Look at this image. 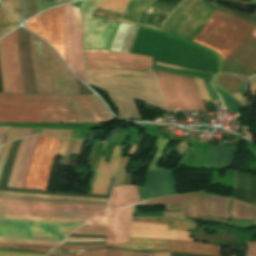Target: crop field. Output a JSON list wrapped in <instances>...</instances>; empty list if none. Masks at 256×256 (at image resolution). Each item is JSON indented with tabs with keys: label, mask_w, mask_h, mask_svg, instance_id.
<instances>
[{
	"label": "crop field",
	"mask_w": 256,
	"mask_h": 256,
	"mask_svg": "<svg viewBox=\"0 0 256 256\" xmlns=\"http://www.w3.org/2000/svg\"><path fill=\"white\" fill-rule=\"evenodd\" d=\"M45 95L19 94V98L44 99ZM44 100L18 99L0 93V122H41ZM113 120L95 95H46L42 122L104 123Z\"/></svg>",
	"instance_id": "8a807250"
},
{
	"label": "crop field",
	"mask_w": 256,
	"mask_h": 256,
	"mask_svg": "<svg viewBox=\"0 0 256 256\" xmlns=\"http://www.w3.org/2000/svg\"><path fill=\"white\" fill-rule=\"evenodd\" d=\"M251 27L256 26L216 9L193 42L216 51L225 61L242 43ZM252 30L224 62L222 72L248 76L256 73V38L251 37Z\"/></svg>",
	"instance_id": "ac0d7876"
},
{
	"label": "crop field",
	"mask_w": 256,
	"mask_h": 256,
	"mask_svg": "<svg viewBox=\"0 0 256 256\" xmlns=\"http://www.w3.org/2000/svg\"><path fill=\"white\" fill-rule=\"evenodd\" d=\"M87 74L91 84L111 93L168 107L154 70L147 69V74L133 71L87 70Z\"/></svg>",
	"instance_id": "34b2d1b8"
},
{
	"label": "crop field",
	"mask_w": 256,
	"mask_h": 256,
	"mask_svg": "<svg viewBox=\"0 0 256 256\" xmlns=\"http://www.w3.org/2000/svg\"><path fill=\"white\" fill-rule=\"evenodd\" d=\"M31 50L38 94H80L74 77L57 55L33 35Z\"/></svg>",
	"instance_id": "412701ff"
},
{
	"label": "crop field",
	"mask_w": 256,
	"mask_h": 256,
	"mask_svg": "<svg viewBox=\"0 0 256 256\" xmlns=\"http://www.w3.org/2000/svg\"><path fill=\"white\" fill-rule=\"evenodd\" d=\"M214 11L215 8L203 0H183L168 17L161 31L191 41Z\"/></svg>",
	"instance_id": "f4fd0767"
},
{
	"label": "crop field",
	"mask_w": 256,
	"mask_h": 256,
	"mask_svg": "<svg viewBox=\"0 0 256 256\" xmlns=\"http://www.w3.org/2000/svg\"><path fill=\"white\" fill-rule=\"evenodd\" d=\"M106 208L107 206L50 204L0 199V213L5 214L89 219L94 213Z\"/></svg>",
	"instance_id": "dd49c442"
},
{
	"label": "crop field",
	"mask_w": 256,
	"mask_h": 256,
	"mask_svg": "<svg viewBox=\"0 0 256 256\" xmlns=\"http://www.w3.org/2000/svg\"><path fill=\"white\" fill-rule=\"evenodd\" d=\"M82 224H63L0 219V236L35 240H63Z\"/></svg>",
	"instance_id": "e52e79f7"
},
{
	"label": "crop field",
	"mask_w": 256,
	"mask_h": 256,
	"mask_svg": "<svg viewBox=\"0 0 256 256\" xmlns=\"http://www.w3.org/2000/svg\"><path fill=\"white\" fill-rule=\"evenodd\" d=\"M102 0H83L81 13L84 21V49L109 50L120 22L91 17Z\"/></svg>",
	"instance_id": "d8731c3e"
},
{
	"label": "crop field",
	"mask_w": 256,
	"mask_h": 256,
	"mask_svg": "<svg viewBox=\"0 0 256 256\" xmlns=\"http://www.w3.org/2000/svg\"><path fill=\"white\" fill-rule=\"evenodd\" d=\"M62 140L41 135L31 159L24 188L46 190Z\"/></svg>",
	"instance_id": "5a996713"
},
{
	"label": "crop field",
	"mask_w": 256,
	"mask_h": 256,
	"mask_svg": "<svg viewBox=\"0 0 256 256\" xmlns=\"http://www.w3.org/2000/svg\"><path fill=\"white\" fill-rule=\"evenodd\" d=\"M67 66L87 83L82 53V19L78 8L64 6Z\"/></svg>",
	"instance_id": "3316defc"
},
{
	"label": "crop field",
	"mask_w": 256,
	"mask_h": 256,
	"mask_svg": "<svg viewBox=\"0 0 256 256\" xmlns=\"http://www.w3.org/2000/svg\"><path fill=\"white\" fill-rule=\"evenodd\" d=\"M134 208H123L100 212L84 226L107 227V233L76 230L73 233L107 235V243H122L128 240L130 219Z\"/></svg>",
	"instance_id": "28ad6ade"
},
{
	"label": "crop field",
	"mask_w": 256,
	"mask_h": 256,
	"mask_svg": "<svg viewBox=\"0 0 256 256\" xmlns=\"http://www.w3.org/2000/svg\"><path fill=\"white\" fill-rule=\"evenodd\" d=\"M87 68L132 69L146 72L152 69V58L139 55L103 51L84 50Z\"/></svg>",
	"instance_id": "d1516ede"
},
{
	"label": "crop field",
	"mask_w": 256,
	"mask_h": 256,
	"mask_svg": "<svg viewBox=\"0 0 256 256\" xmlns=\"http://www.w3.org/2000/svg\"><path fill=\"white\" fill-rule=\"evenodd\" d=\"M52 45L66 62L64 46L63 6L44 12L25 25Z\"/></svg>",
	"instance_id": "22f410ed"
},
{
	"label": "crop field",
	"mask_w": 256,
	"mask_h": 256,
	"mask_svg": "<svg viewBox=\"0 0 256 256\" xmlns=\"http://www.w3.org/2000/svg\"><path fill=\"white\" fill-rule=\"evenodd\" d=\"M164 74H166L168 85L180 107V110H204L195 92L191 77L170 73Z\"/></svg>",
	"instance_id": "cbeb9de0"
},
{
	"label": "crop field",
	"mask_w": 256,
	"mask_h": 256,
	"mask_svg": "<svg viewBox=\"0 0 256 256\" xmlns=\"http://www.w3.org/2000/svg\"><path fill=\"white\" fill-rule=\"evenodd\" d=\"M4 43L10 92L23 93L17 52V30L4 37Z\"/></svg>",
	"instance_id": "5142ce71"
},
{
	"label": "crop field",
	"mask_w": 256,
	"mask_h": 256,
	"mask_svg": "<svg viewBox=\"0 0 256 256\" xmlns=\"http://www.w3.org/2000/svg\"><path fill=\"white\" fill-rule=\"evenodd\" d=\"M130 237L192 240L189 238V232L169 230L167 225L136 221L132 222Z\"/></svg>",
	"instance_id": "d9b57169"
},
{
	"label": "crop field",
	"mask_w": 256,
	"mask_h": 256,
	"mask_svg": "<svg viewBox=\"0 0 256 256\" xmlns=\"http://www.w3.org/2000/svg\"><path fill=\"white\" fill-rule=\"evenodd\" d=\"M19 30H24V29L18 28V51H19ZM20 51H21V61H22V68H23L26 90H28L27 84L29 80V85H28L29 91H25V86H24V93L37 94V88H36V83L34 79L32 60H31L30 33H28L25 30H24V51H25V61H26V67H27L28 80H27L26 67H25V61H24V52H23V31H20ZM19 61H20V52H19ZM20 68H21V62H20ZM22 68H21V74H22ZM23 74H22V79H23ZM24 80H23V85H24Z\"/></svg>",
	"instance_id": "733c2abd"
},
{
	"label": "crop field",
	"mask_w": 256,
	"mask_h": 256,
	"mask_svg": "<svg viewBox=\"0 0 256 256\" xmlns=\"http://www.w3.org/2000/svg\"><path fill=\"white\" fill-rule=\"evenodd\" d=\"M235 151V147L211 145L204 169L215 170L232 167Z\"/></svg>",
	"instance_id": "4a817a6b"
},
{
	"label": "crop field",
	"mask_w": 256,
	"mask_h": 256,
	"mask_svg": "<svg viewBox=\"0 0 256 256\" xmlns=\"http://www.w3.org/2000/svg\"><path fill=\"white\" fill-rule=\"evenodd\" d=\"M110 247L132 249L137 251H169L170 240L129 238L128 243L115 244Z\"/></svg>",
	"instance_id": "bc2a9ffb"
},
{
	"label": "crop field",
	"mask_w": 256,
	"mask_h": 256,
	"mask_svg": "<svg viewBox=\"0 0 256 256\" xmlns=\"http://www.w3.org/2000/svg\"><path fill=\"white\" fill-rule=\"evenodd\" d=\"M137 186L114 187L109 209L138 204Z\"/></svg>",
	"instance_id": "214f88e0"
},
{
	"label": "crop field",
	"mask_w": 256,
	"mask_h": 256,
	"mask_svg": "<svg viewBox=\"0 0 256 256\" xmlns=\"http://www.w3.org/2000/svg\"><path fill=\"white\" fill-rule=\"evenodd\" d=\"M171 251L220 256L221 247L199 242L171 240Z\"/></svg>",
	"instance_id": "92a150f3"
},
{
	"label": "crop field",
	"mask_w": 256,
	"mask_h": 256,
	"mask_svg": "<svg viewBox=\"0 0 256 256\" xmlns=\"http://www.w3.org/2000/svg\"><path fill=\"white\" fill-rule=\"evenodd\" d=\"M110 97L118 115L125 119L143 120L134 100L116 97L107 93Z\"/></svg>",
	"instance_id": "dafd665d"
},
{
	"label": "crop field",
	"mask_w": 256,
	"mask_h": 256,
	"mask_svg": "<svg viewBox=\"0 0 256 256\" xmlns=\"http://www.w3.org/2000/svg\"><path fill=\"white\" fill-rule=\"evenodd\" d=\"M110 177H111V171L108 165L104 160L100 159L92 193L106 194Z\"/></svg>",
	"instance_id": "00972430"
},
{
	"label": "crop field",
	"mask_w": 256,
	"mask_h": 256,
	"mask_svg": "<svg viewBox=\"0 0 256 256\" xmlns=\"http://www.w3.org/2000/svg\"><path fill=\"white\" fill-rule=\"evenodd\" d=\"M198 197H199V193L185 194V217L199 219V220H205V221L218 222V223H223V224H228V225L231 224L230 221L213 219V218L196 217L197 206H198Z\"/></svg>",
	"instance_id": "a9b5d70f"
},
{
	"label": "crop field",
	"mask_w": 256,
	"mask_h": 256,
	"mask_svg": "<svg viewBox=\"0 0 256 256\" xmlns=\"http://www.w3.org/2000/svg\"><path fill=\"white\" fill-rule=\"evenodd\" d=\"M132 220L169 224L171 229H178V230L195 231L200 227L199 225L167 219V218H161V217H140V218H133Z\"/></svg>",
	"instance_id": "4177f3b9"
},
{
	"label": "crop field",
	"mask_w": 256,
	"mask_h": 256,
	"mask_svg": "<svg viewBox=\"0 0 256 256\" xmlns=\"http://www.w3.org/2000/svg\"><path fill=\"white\" fill-rule=\"evenodd\" d=\"M40 135H36V136H32L30 138V142L29 145L27 147V150L25 152L24 158H23V162H22V166H21V170L18 176V180H17V184L15 188H22L25 178H26V174H27V170L29 167V163H30V159L34 150V147L37 143V140L39 138Z\"/></svg>",
	"instance_id": "730fd06b"
},
{
	"label": "crop field",
	"mask_w": 256,
	"mask_h": 256,
	"mask_svg": "<svg viewBox=\"0 0 256 256\" xmlns=\"http://www.w3.org/2000/svg\"><path fill=\"white\" fill-rule=\"evenodd\" d=\"M151 0H132L120 16L121 19L135 22Z\"/></svg>",
	"instance_id": "eef30255"
},
{
	"label": "crop field",
	"mask_w": 256,
	"mask_h": 256,
	"mask_svg": "<svg viewBox=\"0 0 256 256\" xmlns=\"http://www.w3.org/2000/svg\"><path fill=\"white\" fill-rule=\"evenodd\" d=\"M166 204V210H179L183 209L184 195L162 197L148 202L141 203L139 206H152Z\"/></svg>",
	"instance_id": "ae1a2a85"
},
{
	"label": "crop field",
	"mask_w": 256,
	"mask_h": 256,
	"mask_svg": "<svg viewBox=\"0 0 256 256\" xmlns=\"http://www.w3.org/2000/svg\"><path fill=\"white\" fill-rule=\"evenodd\" d=\"M18 26L14 17L0 4V37Z\"/></svg>",
	"instance_id": "d3111659"
},
{
	"label": "crop field",
	"mask_w": 256,
	"mask_h": 256,
	"mask_svg": "<svg viewBox=\"0 0 256 256\" xmlns=\"http://www.w3.org/2000/svg\"><path fill=\"white\" fill-rule=\"evenodd\" d=\"M29 138L30 137L24 138L21 140L18 154H17L16 160H15V164H14L11 176H10V180L8 179L9 183H8L7 187L14 188V186H15V182H16V179H17V176L19 173V169H20V165H21V161H22V157L25 152L26 146L28 144Z\"/></svg>",
	"instance_id": "750c4746"
},
{
	"label": "crop field",
	"mask_w": 256,
	"mask_h": 256,
	"mask_svg": "<svg viewBox=\"0 0 256 256\" xmlns=\"http://www.w3.org/2000/svg\"><path fill=\"white\" fill-rule=\"evenodd\" d=\"M0 218H11L19 220H31V221H46V222H64V223H84L87 220H73V219H52L30 216H17V215H4L0 214Z\"/></svg>",
	"instance_id": "bd1437ed"
},
{
	"label": "crop field",
	"mask_w": 256,
	"mask_h": 256,
	"mask_svg": "<svg viewBox=\"0 0 256 256\" xmlns=\"http://www.w3.org/2000/svg\"><path fill=\"white\" fill-rule=\"evenodd\" d=\"M0 73L2 79L3 92H9V82L6 71L5 53L3 39L0 40Z\"/></svg>",
	"instance_id": "1d83c4d3"
},
{
	"label": "crop field",
	"mask_w": 256,
	"mask_h": 256,
	"mask_svg": "<svg viewBox=\"0 0 256 256\" xmlns=\"http://www.w3.org/2000/svg\"><path fill=\"white\" fill-rule=\"evenodd\" d=\"M169 142L170 141H168V140H160V139L156 140L155 146H156L157 150H156L147 170H155L156 169V167L158 166V164L161 160L162 153Z\"/></svg>",
	"instance_id": "120bbe31"
},
{
	"label": "crop field",
	"mask_w": 256,
	"mask_h": 256,
	"mask_svg": "<svg viewBox=\"0 0 256 256\" xmlns=\"http://www.w3.org/2000/svg\"><path fill=\"white\" fill-rule=\"evenodd\" d=\"M130 1L131 0H103L99 7L122 13Z\"/></svg>",
	"instance_id": "d32e631a"
},
{
	"label": "crop field",
	"mask_w": 256,
	"mask_h": 256,
	"mask_svg": "<svg viewBox=\"0 0 256 256\" xmlns=\"http://www.w3.org/2000/svg\"><path fill=\"white\" fill-rule=\"evenodd\" d=\"M0 194H12V195H20V196H34V197H43V198H51V199L90 200V201H102V202H108V200H109V199H93V198H82V197L53 196V195H42V194H20V193L4 192V191H0Z\"/></svg>",
	"instance_id": "5866460e"
},
{
	"label": "crop field",
	"mask_w": 256,
	"mask_h": 256,
	"mask_svg": "<svg viewBox=\"0 0 256 256\" xmlns=\"http://www.w3.org/2000/svg\"><path fill=\"white\" fill-rule=\"evenodd\" d=\"M127 28H128V25L127 24H124V23H121L117 32H116V35L112 41V45H111V49L110 50H115V51H119L120 50V47L122 45V42H123V39H124V36H125V33L127 31Z\"/></svg>",
	"instance_id": "028f5c9d"
},
{
	"label": "crop field",
	"mask_w": 256,
	"mask_h": 256,
	"mask_svg": "<svg viewBox=\"0 0 256 256\" xmlns=\"http://www.w3.org/2000/svg\"><path fill=\"white\" fill-rule=\"evenodd\" d=\"M0 2L21 22V0H0Z\"/></svg>",
	"instance_id": "e1f06a70"
},
{
	"label": "crop field",
	"mask_w": 256,
	"mask_h": 256,
	"mask_svg": "<svg viewBox=\"0 0 256 256\" xmlns=\"http://www.w3.org/2000/svg\"><path fill=\"white\" fill-rule=\"evenodd\" d=\"M158 75H159V81H160L162 91L165 95V98L168 102L169 107L178 108V106H177V104H176V102H175V100H174V98H173V96H172V94H171V92L168 88L165 75L159 74V73H158Z\"/></svg>",
	"instance_id": "0bd39190"
},
{
	"label": "crop field",
	"mask_w": 256,
	"mask_h": 256,
	"mask_svg": "<svg viewBox=\"0 0 256 256\" xmlns=\"http://www.w3.org/2000/svg\"><path fill=\"white\" fill-rule=\"evenodd\" d=\"M219 83L226 87L232 93H234L238 89L240 84V82H238L236 79L228 74H221L219 78Z\"/></svg>",
	"instance_id": "b80d0937"
},
{
	"label": "crop field",
	"mask_w": 256,
	"mask_h": 256,
	"mask_svg": "<svg viewBox=\"0 0 256 256\" xmlns=\"http://www.w3.org/2000/svg\"><path fill=\"white\" fill-rule=\"evenodd\" d=\"M153 253L129 251L122 249H108L106 256H152Z\"/></svg>",
	"instance_id": "c035e120"
},
{
	"label": "crop field",
	"mask_w": 256,
	"mask_h": 256,
	"mask_svg": "<svg viewBox=\"0 0 256 256\" xmlns=\"http://www.w3.org/2000/svg\"><path fill=\"white\" fill-rule=\"evenodd\" d=\"M122 154L123 152L121 151V147L115 145L110 160L108 162L115 175L117 173Z\"/></svg>",
	"instance_id": "c21b1889"
},
{
	"label": "crop field",
	"mask_w": 256,
	"mask_h": 256,
	"mask_svg": "<svg viewBox=\"0 0 256 256\" xmlns=\"http://www.w3.org/2000/svg\"><path fill=\"white\" fill-rule=\"evenodd\" d=\"M0 242L58 245L62 241H34V240H23V239L0 237Z\"/></svg>",
	"instance_id": "03da06ac"
},
{
	"label": "crop field",
	"mask_w": 256,
	"mask_h": 256,
	"mask_svg": "<svg viewBox=\"0 0 256 256\" xmlns=\"http://www.w3.org/2000/svg\"><path fill=\"white\" fill-rule=\"evenodd\" d=\"M208 199H209V195L200 194V201H199V208H198L199 216H208Z\"/></svg>",
	"instance_id": "b54c1fbb"
},
{
	"label": "crop field",
	"mask_w": 256,
	"mask_h": 256,
	"mask_svg": "<svg viewBox=\"0 0 256 256\" xmlns=\"http://www.w3.org/2000/svg\"><path fill=\"white\" fill-rule=\"evenodd\" d=\"M36 14V0H25V20Z\"/></svg>",
	"instance_id": "5d738f31"
},
{
	"label": "crop field",
	"mask_w": 256,
	"mask_h": 256,
	"mask_svg": "<svg viewBox=\"0 0 256 256\" xmlns=\"http://www.w3.org/2000/svg\"><path fill=\"white\" fill-rule=\"evenodd\" d=\"M23 133L24 128L12 127L8 134L5 144L15 139L22 138Z\"/></svg>",
	"instance_id": "d23c7cc5"
},
{
	"label": "crop field",
	"mask_w": 256,
	"mask_h": 256,
	"mask_svg": "<svg viewBox=\"0 0 256 256\" xmlns=\"http://www.w3.org/2000/svg\"><path fill=\"white\" fill-rule=\"evenodd\" d=\"M95 240H106V239H95V238H67L66 241H95ZM106 241H95V242H63L62 244H94V243H105Z\"/></svg>",
	"instance_id": "425ffa30"
},
{
	"label": "crop field",
	"mask_w": 256,
	"mask_h": 256,
	"mask_svg": "<svg viewBox=\"0 0 256 256\" xmlns=\"http://www.w3.org/2000/svg\"><path fill=\"white\" fill-rule=\"evenodd\" d=\"M109 244H95V245H59L56 248H66V249H88L96 247H109Z\"/></svg>",
	"instance_id": "25e5ab78"
},
{
	"label": "crop field",
	"mask_w": 256,
	"mask_h": 256,
	"mask_svg": "<svg viewBox=\"0 0 256 256\" xmlns=\"http://www.w3.org/2000/svg\"><path fill=\"white\" fill-rule=\"evenodd\" d=\"M0 246H16V247H26V248H39V249H52L55 246L48 245H27V244H13V243H0Z\"/></svg>",
	"instance_id": "73cf0c24"
},
{
	"label": "crop field",
	"mask_w": 256,
	"mask_h": 256,
	"mask_svg": "<svg viewBox=\"0 0 256 256\" xmlns=\"http://www.w3.org/2000/svg\"><path fill=\"white\" fill-rule=\"evenodd\" d=\"M11 143L5 145L2 149L1 154H0V175L2 173V170H3V167H4V164H5V161H6Z\"/></svg>",
	"instance_id": "89e229c0"
},
{
	"label": "crop field",
	"mask_w": 256,
	"mask_h": 256,
	"mask_svg": "<svg viewBox=\"0 0 256 256\" xmlns=\"http://www.w3.org/2000/svg\"><path fill=\"white\" fill-rule=\"evenodd\" d=\"M10 127H0V147L3 146Z\"/></svg>",
	"instance_id": "1f2cbd36"
},
{
	"label": "crop field",
	"mask_w": 256,
	"mask_h": 256,
	"mask_svg": "<svg viewBox=\"0 0 256 256\" xmlns=\"http://www.w3.org/2000/svg\"><path fill=\"white\" fill-rule=\"evenodd\" d=\"M0 256H44L41 254H29V253H6L0 252Z\"/></svg>",
	"instance_id": "dbb93151"
},
{
	"label": "crop field",
	"mask_w": 256,
	"mask_h": 256,
	"mask_svg": "<svg viewBox=\"0 0 256 256\" xmlns=\"http://www.w3.org/2000/svg\"><path fill=\"white\" fill-rule=\"evenodd\" d=\"M106 249L95 250L80 256H103Z\"/></svg>",
	"instance_id": "0fb4a251"
},
{
	"label": "crop field",
	"mask_w": 256,
	"mask_h": 256,
	"mask_svg": "<svg viewBox=\"0 0 256 256\" xmlns=\"http://www.w3.org/2000/svg\"><path fill=\"white\" fill-rule=\"evenodd\" d=\"M248 246V253L256 254V242H246Z\"/></svg>",
	"instance_id": "1d79db26"
},
{
	"label": "crop field",
	"mask_w": 256,
	"mask_h": 256,
	"mask_svg": "<svg viewBox=\"0 0 256 256\" xmlns=\"http://www.w3.org/2000/svg\"><path fill=\"white\" fill-rule=\"evenodd\" d=\"M84 142L85 141H78L77 142V145H76V148H75V151H74V154L73 155H77V154H80L81 153V150H82V147L84 145Z\"/></svg>",
	"instance_id": "9d1cf04e"
},
{
	"label": "crop field",
	"mask_w": 256,
	"mask_h": 256,
	"mask_svg": "<svg viewBox=\"0 0 256 256\" xmlns=\"http://www.w3.org/2000/svg\"><path fill=\"white\" fill-rule=\"evenodd\" d=\"M68 142L69 141L63 140V142L61 144V147H60V150H59V153H58L59 155L64 156V153H65V150L67 148Z\"/></svg>",
	"instance_id": "447ae74e"
},
{
	"label": "crop field",
	"mask_w": 256,
	"mask_h": 256,
	"mask_svg": "<svg viewBox=\"0 0 256 256\" xmlns=\"http://www.w3.org/2000/svg\"><path fill=\"white\" fill-rule=\"evenodd\" d=\"M79 229H82V230H93V231H103V232H106V228H89V227H81Z\"/></svg>",
	"instance_id": "0765c3eb"
},
{
	"label": "crop field",
	"mask_w": 256,
	"mask_h": 256,
	"mask_svg": "<svg viewBox=\"0 0 256 256\" xmlns=\"http://www.w3.org/2000/svg\"><path fill=\"white\" fill-rule=\"evenodd\" d=\"M170 252L155 253L154 256H169Z\"/></svg>",
	"instance_id": "db79e9e6"
},
{
	"label": "crop field",
	"mask_w": 256,
	"mask_h": 256,
	"mask_svg": "<svg viewBox=\"0 0 256 256\" xmlns=\"http://www.w3.org/2000/svg\"><path fill=\"white\" fill-rule=\"evenodd\" d=\"M78 254H60V255H47V256H75Z\"/></svg>",
	"instance_id": "7b73153f"
},
{
	"label": "crop field",
	"mask_w": 256,
	"mask_h": 256,
	"mask_svg": "<svg viewBox=\"0 0 256 256\" xmlns=\"http://www.w3.org/2000/svg\"><path fill=\"white\" fill-rule=\"evenodd\" d=\"M31 129H32V128H26V131H25L24 137H25V136H29V135H30V133H31Z\"/></svg>",
	"instance_id": "78b8030e"
},
{
	"label": "crop field",
	"mask_w": 256,
	"mask_h": 256,
	"mask_svg": "<svg viewBox=\"0 0 256 256\" xmlns=\"http://www.w3.org/2000/svg\"><path fill=\"white\" fill-rule=\"evenodd\" d=\"M254 215H255V224H254V227H256V206H254Z\"/></svg>",
	"instance_id": "0f1d7ab4"
},
{
	"label": "crop field",
	"mask_w": 256,
	"mask_h": 256,
	"mask_svg": "<svg viewBox=\"0 0 256 256\" xmlns=\"http://www.w3.org/2000/svg\"><path fill=\"white\" fill-rule=\"evenodd\" d=\"M252 36L256 37V29L255 28L253 30V35Z\"/></svg>",
	"instance_id": "e1d0b9f6"
},
{
	"label": "crop field",
	"mask_w": 256,
	"mask_h": 256,
	"mask_svg": "<svg viewBox=\"0 0 256 256\" xmlns=\"http://www.w3.org/2000/svg\"><path fill=\"white\" fill-rule=\"evenodd\" d=\"M72 0H63V3L62 4H64V3H68V2H71Z\"/></svg>",
	"instance_id": "ae633e8c"
},
{
	"label": "crop field",
	"mask_w": 256,
	"mask_h": 256,
	"mask_svg": "<svg viewBox=\"0 0 256 256\" xmlns=\"http://www.w3.org/2000/svg\"><path fill=\"white\" fill-rule=\"evenodd\" d=\"M56 3H59V0H55Z\"/></svg>",
	"instance_id": "d14b1444"
},
{
	"label": "crop field",
	"mask_w": 256,
	"mask_h": 256,
	"mask_svg": "<svg viewBox=\"0 0 256 256\" xmlns=\"http://www.w3.org/2000/svg\"><path fill=\"white\" fill-rule=\"evenodd\" d=\"M246 256H253V255L246 254Z\"/></svg>",
	"instance_id": "c39391a2"
},
{
	"label": "crop field",
	"mask_w": 256,
	"mask_h": 256,
	"mask_svg": "<svg viewBox=\"0 0 256 256\" xmlns=\"http://www.w3.org/2000/svg\"><path fill=\"white\" fill-rule=\"evenodd\" d=\"M50 1H53V2H54V0H50Z\"/></svg>",
	"instance_id": "ade564c9"
},
{
	"label": "crop field",
	"mask_w": 256,
	"mask_h": 256,
	"mask_svg": "<svg viewBox=\"0 0 256 256\" xmlns=\"http://www.w3.org/2000/svg\"><path fill=\"white\" fill-rule=\"evenodd\" d=\"M2 149V148H1ZM1 149H0V152H1Z\"/></svg>",
	"instance_id": "c5b07064"
},
{
	"label": "crop field",
	"mask_w": 256,
	"mask_h": 256,
	"mask_svg": "<svg viewBox=\"0 0 256 256\" xmlns=\"http://www.w3.org/2000/svg\"><path fill=\"white\" fill-rule=\"evenodd\" d=\"M73 1H76V0H73Z\"/></svg>",
	"instance_id": "c3a83c6f"
}]
</instances>
